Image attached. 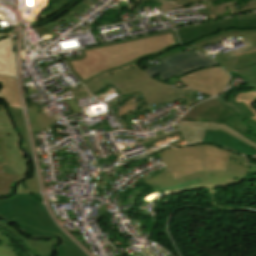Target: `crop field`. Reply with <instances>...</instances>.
Masks as SVG:
<instances>
[{
	"label": "crop field",
	"instance_id": "23",
	"mask_svg": "<svg viewBox=\"0 0 256 256\" xmlns=\"http://www.w3.org/2000/svg\"><path fill=\"white\" fill-rule=\"evenodd\" d=\"M72 0H60V3L58 4H53V9L48 11L47 13L43 14L41 17H39L35 22H31V24L39 22L55 13L60 11L62 8H64L66 5H68ZM30 24V25H31Z\"/></svg>",
	"mask_w": 256,
	"mask_h": 256
},
{
	"label": "crop field",
	"instance_id": "7",
	"mask_svg": "<svg viewBox=\"0 0 256 256\" xmlns=\"http://www.w3.org/2000/svg\"><path fill=\"white\" fill-rule=\"evenodd\" d=\"M254 29L256 28V13L242 15L221 21H214L198 26H191L182 29H177L178 38L183 45H187L200 38L215 34L217 32L229 29Z\"/></svg>",
	"mask_w": 256,
	"mask_h": 256
},
{
	"label": "crop field",
	"instance_id": "15",
	"mask_svg": "<svg viewBox=\"0 0 256 256\" xmlns=\"http://www.w3.org/2000/svg\"><path fill=\"white\" fill-rule=\"evenodd\" d=\"M58 256H87L68 237L57 247Z\"/></svg>",
	"mask_w": 256,
	"mask_h": 256
},
{
	"label": "crop field",
	"instance_id": "4",
	"mask_svg": "<svg viewBox=\"0 0 256 256\" xmlns=\"http://www.w3.org/2000/svg\"><path fill=\"white\" fill-rule=\"evenodd\" d=\"M234 115L236 114L225 105L212 99L195 105L177 124L189 144L201 143L205 129L217 130L219 128L256 149L255 142L223 123L224 120Z\"/></svg>",
	"mask_w": 256,
	"mask_h": 256
},
{
	"label": "crop field",
	"instance_id": "6",
	"mask_svg": "<svg viewBox=\"0 0 256 256\" xmlns=\"http://www.w3.org/2000/svg\"><path fill=\"white\" fill-rule=\"evenodd\" d=\"M17 143L18 135L4 110L0 112V163L5 164L1 172L16 175V181L29 172L28 161Z\"/></svg>",
	"mask_w": 256,
	"mask_h": 256
},
{
	"label": "crop field",
	"instance_id": "18",
	"mask_svg": "<svg viewBox=\"0 0 256 256\" xmlns=\"http://www.w3.org/2000/svg\"><path fill=\"white\" fill-rule=\"evenodd\" d=\"M256 99V91H246L244 93L236 94L235 100L240 103L243 102L245 106L255 115L250 118L254 122H256V110L253 108V102Z\"/></svg>",
	"mask_w": 256,
	"mask_h": 256
},
{
	"label": "crop field",
	"instance_id": "8",
	"mask_svg": "<svg viewBox=\"0 0 256 256\" xmlns=\"http://www.w3.org/2000/svg\"><path fill=\"white\" fill-rule=\"evenodd\" d=\"M179 79L190 88L215 96L223 92L230 76L217 66L179 77Z\"/></svg>",
	"mask_w": 256,
	"mask_h": 256
},
{
	"label": "crop field",
	"instance_id": "10",
	"mask_svg": "<svg viewBox=\"0 0 256 256\" xmlns=\"http://www.w3.org/2000/svg\"><path fill=\"white\" fill-rule=\"evenodd\" d=\"M203 142L216 143V144L225 146L229 149H232L236 152H239L241 154L247 155L249 157L256 154L255 149L227 135L221 130H218V131L206 130Z\"/></svg>",
	"mask_w": 256,
	"mask_h": 256
},
{
	"label": "crop field",
	"instance_id": "27",
	"mask_svg": "<svg viewBox=\"0 0 256 256\" xmlns=\"http://www.w3.org/2000/svg\"><path fill=\"white\" fill-rule=\"evenodd\" d=\"M51 255V254H50ZM50 255H47V256H50Z\"/></svg>",
	"mask_w": 256,
	"mask_h": 256
},
{
	"label": "crop field",
	"instance_id": "11",
	"mask_svg": "<svg viewBox=\"0 0 256 256\" xmlns=\"http://www.w3.org/2000/svg\"><path fill=\"white\" fill-rule=\"evenodd\" d=\"M206 58H207L206 56L199 54L197 52L178 54V55H174V56L164 60L160 64H157L150 68H147L144 71L149 76L153 77V76H156V75L163 73L167 70H170L176 66L184 64L186 62L201 60V59H206Z\"/></svg>",
	"mask_w": 256,
	"mask_h": 256
},
{
	"label": "crop field",
	"instance_id": "12",
	"mask_svg": "<svg viewBox=\"0 0 256 256\" xmlns=\"http://www.w3.org/2000/svg\"><path fill=\"white\" fill-rule=\"evenodd\" d=\"M0 74L16 77V59L11 37L0 40Z\"/></svg>",
	"mask_w": 256,
	"mask_h": 256
},
{
	"label": "crop field",
	"instance_id": "14",
	"mask_svg": "<svg viewBox=\"0 0 256 256\" xmlns=\"http://www.w3.org/2000/svg\"><path fill=\"white\" fill-rule=\"evenodd\" d=\"M213 66H217L212 60L207 59V60H201V61H195V62H190L187 64H184L182 66H179L175 69H172L168 72H165L163 74H161L159 77L160 79L163 80H168L174 76H182L203 68H207V67H213Z\"/></svg>",
	"mask_w": 256,
	"mask_h": 256
},
{
	"label": "crop field",
	"instance_id": "2",
	"mask_svg": "<svg viewBox=\"0 0 256 256\" xmlns=\"http://www.w3.org/2000/svg\"><path fill=\"white\" fill-rule=\"evenodd\" d=\"M158 156L170 171H165L144 183H158L160 189L200 178L202 184L226 182L225 179L243 180L249 167L231 163L230 158L246 162L244 157L210 145L167 149Z\"/></svg>",
	"mask_w": 256,
	"mask_h": 256
},
{
	"label": "crop field",
	"instance_id": "25",
	"mask_svg": "<svg viewBox=\"0 0 256 256\" xmlns=\"http://www.w3.org/2000/svg\"><path fill=\"white\" fill-rule=\"evenodd\" d=\"M210 1H215V0H205V2H210Z\"/></svg>",
	"mask_w": 256,
	"mask_h": 256
},
{
	"label": "crop field",
	"instance_id": "9",
	"mask_svg": "<svg viewBox=\"0 0 256 256\" xmlns=\"http://www.w3.org/2000/svg\"><path fill=\"white\" fill-rule=\"evenodd\" d=\"M234 97L235 95H231L229 103L224 101V96L216 98L218 101L222 100L220 101L221 103L225 104L232 111L238 114L225 121V123L256 142V123L248 119L253 116V114L244 106L243 103L236 104Z\"/></svg>",
	"mask_w": 256,
	"mask_h": 256
},
{
	"label": "crop field",
	"instance_id": "22",
	"mask_svg": "<svg viewBox=\"0 0 256 256\" xmlns=\"http://www.w3.org/2000/svg\"><path fill=\"white\" fill-rule=\"evenodd\" d=\"M3 164H0V171L3 168ZM16 177L12 175H6L0 173V195L9 193L10 184Z\"/></svg>",
	"mask_w": 256,
	"mask_h": 256
},
{
	"label": "crop field",
	"instance_id": "24",
	"mask_svg": "<svg viewBox=\"0 0 256 256\" xmlns=\"http://www.w3.org/2000/svg\"><path fill=\"white\" fill-rule=\"evenodd\" d=\"M106 206H107V205L105 204V205H103L102 207H97V208H98V216H101L102 211H106V209H107Z\"/></svg>",
	"mask_w": 256,
	"mask_h": 256
},
{
	"label": "crop field",
	"instance_id": "5",
	"mask_svg": "<svg viewBox=\"0 0 256 256\" xmlns=\"http://www.w3.org/2000/svg\"><path fill=\"white\" fill-rule=\"evenodd\" d=\"M215 37H217L215 39ZM236 38L238 41H242L246 46L238 49L240 55L235 50L227 52L223 55L217 56L214 59L221 66H224L227 72L233 69H239L242 66L256 63V29L254 30H241V29H230L215 35L209 36L206 39H200L195 43L187 45L190 48L201 51L205 54L206 51L202 48L208 44L214 43L216 40L221 38ZM194 47H191L193 46Z\"/></svg>",
	"mask_w": 256,
	"mask_h": 256
},
{
	"label": "crop field",
	"instance_id": "3",
	"mask_svg": "<svg viewBox=\"0 0 256 256\" xmlns=\"http://www.w3.org/2000/svg\"><path fill=\"white\" fill-rule=\"evenodd\" d=\"M0 215L31 236H51L61 232L50 219L43 203L31 194H17L12 199H0Z\"/></svg>",
	"mask_w": 256,
	"mask_h": 256
},
{
	"label": "crop field",
	"instance_id": "1",
	"mask_svg": "<svg viewBox=\"0 0 256 256\" xmlns=\"http://www.w3.org/2000/svg\"><path fill=\"white\" fill-rule=\"evenodd\" d=\"M179 45L176 33L168 31L83 49L80 50L83 57L66 62L90 95L111 83L123 95L141 91L147 105H152L184 97L183 89L153 80L137 64ZM70 92L75 99L90 96L83 85Z\"/></svg>",
	"mask_w": 256,
	"mask_h": 256
},
{
	"label": "crop field",
	"instance_id": "26",
	"mask_svg": "<svg viewBox=\"0 0 256 256\" xmlns=\"http://www.w3.org/2000/svg\"><path fill=\"white\" fill-rule=\"evenodd\" d=\"M252 158H255V159H256V155H255L254 157H252ZM253 165H256V164H253Z\"/></svg>",
	"mask_w": 256,
	"mask_h": 256
},
{
	"label": "crop field",
	"instance_id": "21",
	"mask_svg": "<svg viewBox=\"0 0 256 256\" xmlns=\"http://www.w3.org/2000/svg\"><path fill=\"white\" fill-rule=\"evenodd\" d=\"M88 7L84 6L83 4H79L77 5L75 8H73L74 11H76L79 15L85 10L87 9ZM65 20L67 23L71 22V21H74L76 20L72 15L69 14V12L62 16L61 18L51 22V23H48L46 24L50 29L53 28L55 25H57L61 20ZM52 30V29H51Z\"/></svg>",
	"mask_w": 256,
	"mask_h": 256
},
{
	"label": "crop field",
	"instance_id": "17",
	"mask_svg": "<svg viewBox=\"0 0 256 256\" xmlns=\"http://www.w3.org/2000/svg\"><path fill=\"white\" fill-rule=\"evenodd\" d=\"M152 1L164 3L158 8L159 12H163V11H169L179 7L192 5L202 0H152Z\"/></svg>",
	"mask_w": 256,
	"mask_h": 256
},
{
	"label": "crop field",
	"instance_id": "20",
	"mask_svg": "<svg viewBox=\"0 0 256 256\" xmlns=\"http://www.w3.org/2000/svg\"><path fill=\"white\" fill-rule=\"evenodd\" d=\"M27 190L29 191L27 192ZM34 192H40L35 172H34V177L31 180L24 181L18 185L17 193H34Z\"/></svg>",
	"mask_w": 256,
	"mask_h": 256
},
{
	"label": "crop field",
	"instance_id": "16",
	"mask_svg": "<svg viewBox=\"0 0 256 256\" xmlns=\"http://www.w3.org/2000/svg\"><path fill=\"white\" fill-rule=\"evenodd\" d=\"M13 243L0 231V256H26L17 248L14 249Z\"/></svg>",
	"mask_w": 256,
	"mask_h": 256
},
{
	"label": "crop field",
	"instance_id": "19",
	"mask_svg": "<svg viewBox=\"0 0 256 256\" xmlns=\"http://www.w3.org/2000/svg\"><path fill=\"white\" fill-rule=\"evenodd\" d=\"M248 84L242 88H256V65L234 71Z\"/></svg>",
	"mask_w": 256,
	"mask_h": 256
},
{
	"label": "crop field",
	"instance_id": "13",
	"mask_svg": "<svg viewBox=\"0 0 256 256\" xmlns=\"http://www.w3.org/2000/svg\"><path fill=\"white\" fill-rule=\"evenodd\" d=\"M0 227L13 235L18 240H22L27 247L30 249V251L35 255L34 249H37V256H44L51 253V247L54 246V244L57 242V239H53L51 241L45 242V241H31L24 239L18 232H16L14 229L10 228L6 224L0 221Z\"/></svg>",
	"mask_w": 256,
	"mask_h": 256
}]
</instances>
